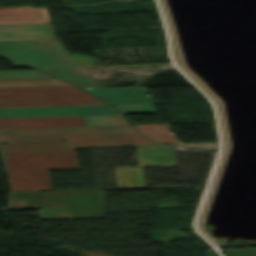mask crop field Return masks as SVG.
<instances>
[{"label":"crop field","mask_w":256,"mask_h":256,"mask_svg":"<svg viewBox=\"0 0 256 256\" xmlns=\"http://www.w3.org/2000/svg\"><path fill=\"white\" fill-rule=\"evenodd\" d=\"M0 56L10 58L14 65L31 66L77 88L96 87L84 69L41 70L94 67L93 59L88 56H68L59 40L0 41Z\"/></svg>","instance_id":"crop-field-1"},{"label":"crop field","mask_w":256,"mask_h":256,"mask_svg":"<svg viewBox=\"0 0 256 256\" xmlns=\"http://www.w3.org/2000/svg\"><path fill=\"white\" fill-rule=\"evenodd\" d=\"M65 141L66 147L157 144L132 126L67 127L0 130V143Z\"/></svg>","instance_id":"crop-field-2"},{"label":"crop field","mask_w":256,"mask_h":256,"mask_svg":"<svg viewBox=\"0 0 256 256\" xmlns=\"http://www.w3.org/2000/svg\"><path fill=\"white\" fill-rule=\"evenodd\" d=\"M1 153L12 191L52 189L47 170L78 169L74 149Z\"/></svg>","instance_id":"crop-field-3"},{"label":"crop field","mask_w":256,"mask_h":256,"mask_svg":"<svg viewBox=\"0 0 256 256\" xmlns=\"http://www.w3.org/2000/svg\"><path fill=\"white\" fill-rule=\"evenodd\" d=\"M104 190L42 192L40 220L103 218Z\"/></svg>","instance_id":"crop-field-4"},{"label":"crop field","mask_w":256,"mask_h":256,"mask_svg":"<svg viewBox=\"0 0 256 256\" xmlns=\"http://www.w3.org/2000/svg\"><path fill=\"white\" fill-rule=\"evenodd\" d=\"M106 104L73 86L0 89V108Z\"/></svg>","instance_id":"crop-field-5"},{"label":"crop field","mask_w":256,"mask_h":256,"mask_svg":"<svg viewBox=\"0 0 256 256\" xmlns=\"http://www.w3.org/2000/svg\"><path fill=\"white\" fill-rule=\"evenodd\" d=\"M139 168H114L117 188L145 187L142 167L176 166L173 146L136 147Z\"/></svg>","instance_id":"crop-field-6"},{"label":"crop field","mask_w":256,"mask_h":256,"mask_svg":"<svg viewBox=\"0 0 256 256\" xmlns=\"http://www.w3.org/2000/svg\"><path fill=\"white\" fill-rule=\"evenodd\" d=\"M120 115L110 105L0 109V118Z\"/></svg>","instance_id":"crop-field-7"},{"label":"crop field","mask_w":256,"mask_h":256,"mask_svg":"<svg viewBox=\"0 0 256 256\" xmlns=\"http://www.w3.org/2000/svg\"><path fill=\"white\" fill-rule=\"evenodd\" d=\"M111 104L152 103L144 87L82 89Z\"/></svg>","instance_id":"crop-field-8"},{"label":"crop field","mask_w":256,"mask_h":256,"mask_svg":"<svg viewBox=\"0 0 256 256\" xmlns=\"http://www.w3.org/2000/svg\"><path fill=\"white\" fill-rule=\"evenodd\" d=\"M36 39H54L50 23L0 25V40Z\"/></svg>","instance_id":"crop-field-9"},{"label":"crop field","mask_w":256,"mask_h":256,"mask_svg":"<svg viewBox=\"0 0 256 256\" xmlns=\"http://www.w3.org/2000/svg\"><path fill=\"white\" fill-rule=\"evenodd\" d=\"M87 126L84 117L0 119V129Z\"/></svg>","instance_id":"crop-field-10"},{"label":"crop field","mask_w":256,"mask_h":256,"mask_svg":"<svg viewBox=\"0 0 256 256\" xmlns=\"http://www.w3.org/2000/svg\"><path fill=\"white\" fill-rule=\"evenodd\" d=\"M50 22L45 8H0V24Z\"/></svg>","instance_id":"crop-field-11"},{"label":"crop field","mask_w":256,"mask_h":256,"mask_svg":"<svg viewBox=\"0 0 256 256\" xmlns=\"http://www.w3.org/2000/svg\"><path fill=\"white\" fill-rule=\"evenodd\" d=\"M147 138L164 143L180 144L170 134L168 124L135 125Z\"/></svg>","instance_id":"crop-field-12"},{"label":"crop field","mask_w":256,"mask_h":256,"mask_svg":"<svg viewBox=\"0 0 256 256\" xmlns=\"http://www.w3.org/2000/svg\"><path fill=\"white\" fill-rule=\"evenodd\" d=\"M41 192L8 193L7 208L40 207Z\"/></svg>","instance_id":"crop-field-13"},{"label":"crop field","mask_w":256,"mask_h":256,"mask_svg":"<svg viewBox=\"0 0 256 256\" xmlns=\"http://www.w3.org/2000/svg\"><path fill=\"white\" fill-rule=\"evenodd\" d=\"M70 85L55 78L0 80V88Z\"/></svg>","instance_id":"crop-field-14"},{"label":"crop field","mask_w":256,"mask_h":256,"mask_svg":"<svg viewBox=\"0 0 256 256\" xmlns=\"http://www.w3.org/2000/svg\"><path fill=\"white\" fill-rule=\"evenodd\" d=\"M88 126L130 125L122 116L85 117Z\"/></svg>","instance_id":"crop-field-15"},{"label":"crop field","mask_w":256,"mask_h":256,"mask_svg":"<svg viewBox=\"0 0 256 256\" xmlns=\"http://www.w3.org/2000/svg\"><path fill=\"white\" fill-rule=\"evenodd\" d=\"M49 147H65V145H64V142L0 144V149L49 148Z\"/></svg>","instance_id":"crop-field-16"}]
</instances>
